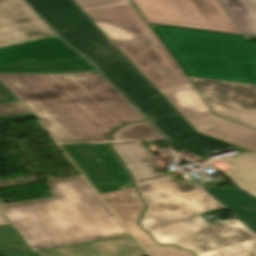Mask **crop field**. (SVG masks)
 I'll return each mask as SVG.
<instances>
[{"label":"crop field","mask_w":256,"mask_h":256,"mask_svg":"<svg viewBox=\"0 0 256 256\" xmlns=\"http://www.w3.org/2000/svg\"><path fill=\"white\" fill-rule=\"evenodd\" d=\"M112 148L149 206L140 225L159 243L192 250L196 256H256V236L236 219L208 225L197 214L223 207L195 183L166 176L140 142H113ZM143 193L164 198L150 201Z\"/></svg>","instance_id":"1"},{"label":"crop field","mask_w":256,"mask_h":256,"mask_svg":"<svg viewBox=\"0 0 256 256\" xmlns=\"http://www.w3.org/2000/svg\"><path fill=\"white\" fill-rule=\"evenodd\" d=\"M73 1L197 132L256 152V131L210 113L130 0Z\"/></svg>","instance_id":"2"},{"label":"crop field","mask_w":256,"mask_h":256,"mask_svg":"<svg viewBox=\"0 0 256 256\" xmlns=\"http://www.w3.org/2000/svg\"><path fill=\"white\" fill-rule=\"evenodd\" d=\"M57 143L109 141L115 127L145 118L100 75L0 74Z\"/></svg>","instance_id":"3"},{"label":"crop field","mask_w":256,"mask_h":256,"mask_svg":"<svg viewBox=\"0 0 256 256\" xmlns=\"http://www.w3.org/2000/svg\"><path fill=\"white\" fill-rule=\"evenodd\" d=\"M26 1L61 38L96 62L171 144L206 160L208 154L237 147L197 133L71 0Z\"/></svg>","instance_id":"4"},{"label":"crop field","mask_w":256,"mask_h":256,"mask_svg":"<svg viewBox=\"0 0 256 256\" xmlns=\"http://www.w3.org/2000/svg\"><path fill=\"white\" fill-rule=\"evenodd\" d=\"M46 183L55 197L0 207L35 250L128 234L81 175Z\"/></svg>","instance_id":"5"},{"label":"crop field","mask_w":256,"mask_h":256,"mask_svg":"<svg viewBox=\"0 0 256 256\" xmlns=\"http://www.w3.org/2000/svg\"><path fill=\"white\" fill-rule=\"evenodd\" d=\"M150 25L187 76L256 85V44L246 37Z\"/></svg>","instance_id":"6"},{"label":"crop field","mask_w":256,"mask_h":256,"mask_svg":"<svg viewBox=\"0 0 256 256\" xmlns=\"http://www.w3.org/2000/svg\"><path fill=\"white\" fill-rule=\"evenodd\" d=\"M109 144L110 142H103L59 146L150 256H194L191 252L174 246H159L136 224L145 206L140 198L130 197V193L135 191L131 177L109 148Z\"/></svg>","instance_id":"7"},{"label":"crop field","mask_w":256,"mask_h":256,"mask_svg":"<svg viewBox=\"0 0 256 256\" xmlns=\"http://www.w3.org/2000/svg\"><path fill=\"white\" fill-rule=\"evenodd\" d=\"M98 72L57 37L0 48V73ZM19 101L0 83V103Z\"/></svg>","instance_id":"8"},{"label":"crop field","mask_w":256,"mask_h":256,"mask_svg":"<svg viewBox=\"0 0 256 256\" xmlns=\"http://www.w3.org/2000/svg\"><path fill=\"white\" fill-rule=\"evenodd\" d=\"M148 23L240 34L216 0H133Z\"/></svg>","instance_id":"9"},{"label":"crop field","mask_w":256,"mask_h":256,"mask_svg":"<svg viewBox=\"0 0 256 256\" xmlns=\"http://www.w3.org/2000/svg\"><path fill=\"white\" fill-rule=\"evenodd\" d=\"M221 161L232 169L224 174L238 187H210L204 190L256 233V154L247 153Z\"/></svg>","instance_id":"10"},{"label":"crop field","mask_w":256,"mask_h":256,"mask_svg":"<svg viewBox=\"0 0 256 256\" xmlns=\"http://www.w3.org/2000/svg\"><path fill=\"white\" fill-rule=\"evenodd\" d=\"M189 78L215 115L256 129V86Z\"/></svg>","instance_id":"11"},{"label":"crop field","mask_w":256,"mask_h":256,"mask_svg":"<svg viewBox=\"0 0 256 256\" xmlns=\"http://www.w3.org/2000/svg\"><path fill=\"white\" fill-rule=\"evenodd\" d=\"M53 35L22 0H0V47Z\"/></svg>","instance_id":"12"},{"label":"crop field","mask_w":256,"mask_h":256,"mask_svg":"<svg viewBox=\"0 0 256 256\" xmlns=\"http://www.w3.org/2000/svg\"><path fill=\"white\" fill-rule=\"evenodd\" d=\"M41 256H145L130 235L38 250Z\"/></svg>","instance_id":"13"},{"label":"crop field","mask_w":256,"mask_h":256,"mask_svg":"<svg viewBox=\"0 0 256 256\" xmlns=\"http://www.w3.org/2000/svg\"><path fill=\"white\" fill-rule=\"evenodd\" d=\"M243 34L256 36V0H220Z\"/></svg>","instance_id":"14"},{"label":"crop field","mask_w":256,"mask_h":256,"mask_svg":"<svg viewBox=\"0 0 256 256\" xmlns=\"http://www.w3.org/2000/svg\"><path fill=\"white\" fill-rule=\"evenodd\" d=\"M112 138L113 140L165 139L148 121L119 128L113 133Z\"/></svg>","instance_id":"15"},{"label":"crop field","mask_w":256,"mask_h":256,"mask_svg":"<svg viewBox=\"0 0 256 256\" xmlns=\"http://www.w3.org/2000/svg\"><path fill=\"white\" fill-rule=\"evenodd\" d=\"M26 245L11 225L0 226V250L2 253L30 251Z\"/></svg>","instance_id":"16"},{"label":"crop field","mask_w":256,"mask_h":256,"mask_svg":"<svg viewBox=\"0 0 256 256\" xmlns=\"http://www.w3.org/2000/svg\"><path fill=\"white\" fill-rule=\"evenodd\" d=\"M34 117L21 103L1 104L0 120Z\"/></svg>","instance_id":"17"},{"label":"crop field","mask_w":256,"mask_h":256,"mask_svg":"<svg viewBox=\"0 0 256 256\" xmlns=\"http://www.w3.org/2000/svg\"><path fill=\"white\" fill-rule=\"evenodd\" d=\"M150 200H157L159 198H162L163 196L157 195V194H145Z\"/></svg>","instance_id":"18"},{"label":"crop field","mask_w":256,"mask_h":256,"mask_svg":"<svg viewBox=\"0 0 256 256\" xmlns=\"http://www.w3.org/2000/svg\"><path fill=\"white\" fill-rule=\"evenodd\" d=\"M6 256H37L35 253L9 254Z\"/></svg>","instance_id":"19"},{"label":"crop field","mask_w":256,"mask_h":256,"mask_svg":"<svg viewBox=\"0 0 256 256\" xmlns=\"http://www.w3.org/2000/svg\"><path fill=\"white\" fill-rule=\"evenodd\" d=\"M8 221L4 218V216L0 213V225H7Z\"/></svg>","instance_id":"20"},{"label":"crop field","mask_w":256,"mask_h":256,"mask_svg":"<svg viewBox=\"0 0 256 256\" xmlns=\"http://www.w3.org/2000/svg\"><path fill=\"white\" fill-rule=\"evenodd\" d=\"M131 197H139L137 191L131 194Z\"/></svg>","instance_id":"21"},{"label":"crop field","mask_w":256,"mask_h":256,"mask_svg":"<svg viewBox=\"0 0 256 256\" xmlns=\"http://www.w3.org/2000/svg\"><path fill=\"white\" fill-rule=\"evenodd\" d=\"M92 61V60H91ZM93 62V61H92ZM94 63V62H93ZM97 65V64H96ZM98 66V65H97ZM99 67V66H98ZM100 69V68H99ZM101 71V70H100ZM135 105V104H134ZM136 106V105H135ZM137 107V106H136Z\"/></svg>","instance_id":"22"},{"label":"crop field","mask_w":256,"mask_h":256,"mask_svg":"<svg viewBox=\"0 0 256 256\" xmlns=\"http://www.w3.org/2000/svg\"><path fill=\"white\" fill-rule=\"evenodd\" d=\"M205 22V21H204Z\"/></svg>","instance_id":"23"}]
</instances>
